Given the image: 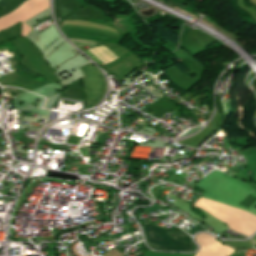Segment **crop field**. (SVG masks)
Here are the masks:
<instances>
[{"label": "crop field", "instance_id": "crop-field-1", "mask_svg": "<svg viewBox=\"0 0 256 256\" xmlns=\"http://www.w3.org/2000/svg\"><path fill=\"white\" fill-rule=\"evenodd\" d=\"M146 237L150 246L156 249L165 250H191V239L185 233H174L169 230L157 228L145 223ZM168 233H173L177 236V241L174 240Z\"/></svg>", "mask_w": 256, "mask_h": 256}, {"label": "crop field", "instance_id": "crop-field-2", "mask_svg": "<svg viewBox=\"0 0 256 256\" xmlns=\"http://www.w3.org/2000/svg\"><path fill=\"white\" fill-rule=\"evenodd\" d=\"M49 7L48 0H28L10 14L0 18V31L26 21ZM26 24V23H25ZM23 23L21 36L25 37L32 29Z\"/></svg>", "mask_w": 256, "mask_h": 256}, {"label": "crop field", "instance_id": "crop-field-3", "mask_svg": "<svg viewBox=\"0 0 256 256\" xmlns=\"http://www.w3.org/2000/svg\"><path fill=\"white\" fill-rule=\"evenodd\" d=\"M86 77L82 78V84L86 93V105L101 95L103 76L91 64L80 68Z\"/></svg>", "mask_w": 256, "mask_h": 256}, {"label": "crop field", "instance_id": "crop-field-4", "mask_svg": "<svg viewBox=\"0 0 256 256\" xmlns=\"http://www.w3.org/2000/svg\"><path fill=\"white\" fill-rule=\"evenodd\" d=\"M13 0H1L0 1V6L5 8L6 6L9 5L10 2H12Z\"/></svg>", "mask_w": 256, "mask_h": 256}]
</instances>
